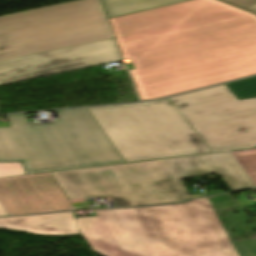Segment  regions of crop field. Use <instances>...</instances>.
Instances as JSON below:
<instances>
[{"mask_svg": "<svg viewBox=\"0 0 256 256\" xmlns=\"http://www.w3.org/2000/svg\"><path fill=\"white\" fill-rule=\"evenodd\" d=\"M143 100L256 74V15L118 46Z\"/></svg>", "mask_w": 256, "mask_h": 256, "instance_id": "8a807250", "label": "crop field"}, {"mask_svg": "<svg viewBox=\"0 0 256 256\" xmlns=\"http://www.w3.org/2000/svg\"><path fill=\"white\" fill-rule=\"evenodd\" d=\"M229 193L185 204L94 210L75 218L103 256H256V240L230 242L214 210L238 206Z\"/></svg>", "mask_w": 256, "mask_h": 256, "instance_id": "ac0d7876", "label": "crop field"}, {"mask_svg": "<svg viewBox=\"0 0 256 256\" xmlns=\"http://www.w3.org/2000/svg\"><path fill=\"white\" fill-rule=\"evenodd\" d=\"M221 174L231 190L254 188L229 152L55 172L69 199L111 195L116 207L190 199L181 179Z\"/></svg>", "mask_w": 256, "mask_h": 256, "instance_id": "34b2d1b8", "label": "crop field"}, {"mask_svg": "<svg viewBox=\"0 0 256 256\" xmlns=\"http://www.w3.org/2000/svg\"><path fill=\"white\" fill-rule=\"evenodd\" d=\"M51 124L6 116L0 161H24L29 174L124 162L86 108L57 111Z\"/></svg>", "mask_w": 256, "mask_h": 256, "instance_id": "412701ff", "label": "crop field"}, {"mask_svg": "<svg viewBox=\"0 0 256 256\" xmlns=\"http://www.w3.org/2000/svg\"><path fill=\"white\" fill-rule=\"evenodd\" d=\"M87 109L125 162L211 152L169 101Z\"/></svg>", "mask_w": 256, "mask_h": 256, "instance_id": "f4fd0767", "label": "crop field"}, {"mask_svg": "<svg viewBox=\"0 0 256 256\" xmlns=\"http://www.w3.org/2000/svg\"><path fill=\"white\" fill-rule=\"evenodd\" d=\"M100 0L0 17V61L112 38Z\"/></svg>", "mask_w": 256, "mask_h": 256, "instance_id": "dd49c442", "label": "crop field"}, {"mask_svg": "<svg viewBox=\"0 0 256 256\" xmlns=\"http://www.w3.org/2000/svg\"><path fill=\"white\" fill-rule=\"evenodd\" d=\"M213 150L256 147V99L238 101L225 84L168 98Z\"/></svg>", "mask_w": 256, "mask_h": 256, "instance_id": "e52e79f7", "label": "crop field"}, {"mask_svg": "<svg viewBox=\"0 0 256 256\" xmlns=\"http://www.w3.org/2000/svg\"><path fill=\"white\" fill-rule=\"evenodd\" d=\"M247 15L216 0H190L108 20L120 45Z\"/></svg>", "mask_w": 256, "mask_h": 256, "instance_id": "d8731c3e", "label": "crop field"}, {"mask_svg": "<svg viewBox=\"0 0 256 256\" xmlns=\"http://www.w3.org/2000/svg\"><path fill=\"white\" fill-rule=\"evenodd\" d=\"M115 39L0 62V85L121 60Z\"/></svg>", "mask_w": 256, "mask_h": 256, "instance_id": "5a996713", "label": "crop field"}, {"mask_svg": "<svg viewBox=\"0 0 256 256\" xmlns=\"http://www.w3.org/2000/svg\"><path fill=\"white\" fill-rule=\"evenodd\" d=\"M0 202L9 215L74 209L51 173L0 178Z\"/></svg>", "mask_w": 256, "mask_h": 256, "instance_id": "3316defc", "label": "crop field"}, {"mask_svg": "<svg viewBox=\"0 0 256 256\" xmlns=\"http://www.w3.org/2000/svg\"><path fill=\"white\" fill-rule=\"evenodd\" d=\"M0 228L49 236L78 234L73 212L3 218Z\"/></svg>", "mask_w": 256, "mask_h": 256, "instance_id": "28ad6ade", "label": "crop field"}, {"mask_svg": "<svg viewBox=\"0 0 256 256\" xmlns=\"http://www.w3.org/2000/svg\"><path fill=\"white\" fill-rule=\"evenodd\" d=\"M185 0H101L108 18Z\"/></svg>", "mask_w": 256, "mask_h": 256, "instance_id": "d1516ede", "label": "crop field"}, {"mask_svg": "<svg viewBox=\"0 0 256 256\" xmlns=\"http://www.w3.org/2000/svg\"><path fill=\"white\" fill-rule=\"evenodd\" d=\"M226 85L238 100L256 98V77Z\"/></svg>", "mask_w": 256, "mask_h": 256, "instance_id": "22f410ed", "label": "crop field"}, {"mask_svg": "<svg viewBox=\"0 0 256 256\" xmlns=\"http://www.w3.org/2000/svg\"><path fill=\"white\" fill-rule=\"evenodd\" d=\"M256 184V149L231 152Z\"/></svg>", "mask_w": 256, "mask_h": 256, "instance_id": "cbeb9de0", "label": "crop field"}, {"mask_svg": "<svg viewBox=\"0 0 256 256\" xmlns=\"http://www.w3.org/2000/svg\"><path fill=\"white\" fill-rule=\"evenodd\" d=\"M27 174L22 162H0V177Z\"/></svg>", "mask_w": 256, "mask_h": 256, "instance_id": "5142ce71", "label": "crop field"}, {"mask_svg": "<svg viewBox=\"0 0 256 256\" xmlns=\"http://www.w3.org/2000/svg\"><path fill=\"white\" fill-rule=\"evenodd\" d=\"M256 14V0H220Z\"/></svg>", "mask_w": 256, "mask_h": 256, "instance_id": "d9b57169", "label": "crop field"}, {"mask_svg": "<svg viewBox=\"0 0 256 256\" xmlns=\"http://www.w3.org/2000/svg\"><path fill=\"white\" fill-rule=\"evenodd\" d=\"M6 215H8V213L5 211V209L0 204V216H6Z\"/></svg>", "mask_w": 256, "mask_h": 256, "instance_id": "733c2abd", "label": "crop field"}]
</instances>
